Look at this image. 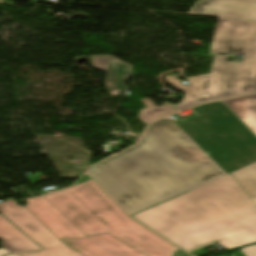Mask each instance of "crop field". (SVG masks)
Returning a JSON list of instances; mask_svg holds the SVG:
<instances>
[{
  "label": "crop field",
  "mask_w": 256,
  "mask_h": 256,
  "mask_svg": "<svg viewBox=\"0 0 256 256\" xmlns=\"http://www.w3.org/2000/svg\"><path fill=\"white\" fill-rule=\"evenodd\" d=\"M133 217L188 252L256 241V207L230 174Z\"/></svg>",
  "instance_id": "2"
},
{
  "label": "crop field",
  "mask_w": 256,
  "mask_h": 256,
  "mask_svg": "<svg viewBox=\"0 0 256 256\" xmlns=\"http://www.w3.org/2000/svg\"><path fill=\"white\" fill-rule=\"evenodd\" d=\"M6 253H10V252L5 250V249H3V248H0V255L6 254Z\"/></svg>",
  "instance_id": "15"
},
{
  "label": "crop field",
  "mask_w": 256,
  "mask_h": 256,
  "mask_svg": "<svg viewBox=\"0 0 256 256\" xmlns=\"http://www.w3.org/2000/svg\"><path fill=\"white\" fill-rule=\"evenodd\" d=\"M93 67L107 72L106 88L110 96H125L124 82L131 76L130 65L113 56H91Z\"/></svg>",
  "instance_id": "10"
},
{
  "label": "crop field",
  "mask_w": 256,
  "mask_h": 256,
  "mask_svg": "<svg viewBox=\"0 0 256 256\" xmlns=\"http://www.w3.org/2000/svg\"><path fill=\"white\" fill-rule=\"evenodd\" d=\"M89 174L130 215L225 175L168 118L149 125L138 145Z\"/></svg>",
  "instance_id": "1"
},
{
  "label": "crop field",
  "mask_w": 256,
  "mask_h": 256,
  "mask_svg": "<svg viewBox=\"0 0 256 256\" xmlns=\"http://www.w3.org/2000/svg\"><path fill=\"white\" fill-rule=\"evenodd\" d=\"M200 116L176 123L256 205V135L222 102L193 108Z\"/></svg>",
  "instance_id": "4"
},
{
  "label": "crop field",
  "mask_w": 256,
  "mask_h": 256,
  "mask_svg": "<svg viewBox=\"0 0 256 256\" xmlns=\"http://www.w3.org/2000/svg\"><path fill=\"white\" fill-rule=\"evenodd\" d=\"M228 57L216 56L209 75L188 78L191 85H183L174 75L164 77L174 88L186 92L183 100L176 105L179 110L189 108L217 98L225 61Z\"/></svg>",
  "instance_id": "8"
},
{
  "label": "crop field",
  "mask_w": 256,
  "mask_h": 256,
  "mask_svg": "<svg viewBox=\"0 0 256 256\" xmlns=\"http://www.w3.org/2000/svg\"><path fill=\"white\" fill-rule=\"evenodd\" d=\"M8 256H18V255H16V254H12V255H8Z\"/></svg>",
  "instance_id": "16"
},
{
  "label": "crop field",
  "mask_w": 256,
  "mask_h": 256,
  "mask_svg": "<svg viewBox=\"0 0 256 256\" xmlns=\"http://www.w3.org/2000/svg\"><path fill=\"white\" fill-rule=\"evenodd\" d=\"M191 13L232 19L256 20V2L202 0L197 3Z\"/></svg>",
  "instance_id": "9"
},
{
  "label": "crop field",
  "mask_w": 256,
  "mask_h": 256,
  "mask_svg": "<svg viewBox=\"0 0 256 256\" xmlns=\"http://www.w3.org/2000/svg\"><path fill=\"white\" fill-rule=\"evenodd\" d=\"M142 101L148 106L147 109L141 111L139 116V119H141L145 125L148 122L176 112V110H174V107L167 103L159 108H156L149 99H142Z\"/></svg>",
  "instance_id": "13"
},
{
  "label": "crop field",
  "mask_w": 256,
  "mask_h": 256,
  "mask_svg": "<svg viewBox=\"0 0 256 256\" xmlns=\"http://www.w3.org/2000/svg\"><path fill=\"white\" fill-rule=\"evenodd\" d=\"M248 1H256V0H248Z\"/></svg>",
  "instance_id": "17"
},
{
  "label": "crop field",
  "mask_w": 256,
  "mask_h": 256,
  "mask_svg": "<svg viewBox=\"0 0 256 256\" xmlns=\"http://www.w3.org/2000/svg\"><path fill=\"white\" fill-rule=\"evenodd\" d=\"M223 102L256 134V95Z\"/></svg>",
  "instance_id": "12"
},
{
  "label": "crop field",
  "mask_w": 256,
  "mask_h": 256,
  "mask_svg": "<svg viewBox=\"0 0 256 256\" xmlns=\"http://www.w3.org/2000/svg\"><path fill=\"white\" fill-rule=\"evenodd\" d=\"M25 200V207L61 241L87 256H145L107 233L87 237L43 196Z\"/></svg>",
  "instance_id": "6"
},
{
  "label": "crop field",
  "mask_w": 256,
  "mask_h": 256,
  "mask_svg": "<svg viewBox=\"0 0 256 256\" xmlns=\"http://www.w3.org/2000/svg\"><path fill=\"white\" fill-rule=\"evenodd\" d=\"M210 52L244 55L226 62L217 100L256 93V21L219 18Z\"/></svg>",
  "instance_id": "5"
},
{
  "label": "crop field",
  "mask_w": 256,
  "mask_h": 256,
  "mask_svg": "<svg viewBox=\"0 0 256 256\" xmlns=\"http://www.w3.org/2000/svg\"><path fill=\"white\" fill-rule=\"evenodd\" d=\"M0 240L2 247L11 252L38 251L40 247L35 245L17 228L0 215Z\"/></svg>",
  "instance_id": "11"
},
{
  "label": "crop field",
  "mask_w": 256,
  "mask_h": 256,
  "mask_svg": "<svg viewBox=\"0 0 256 256\" xmlns=\"http://www.w3.org/2000/svg\"><path fill=\"white\" fill-rule=\"evenodd\" d=\"M3 206V207H1ZM0 212L29 237L39 243L44 251L18 254L21 256H85L62 243L29 210L14 203V199L0 204ZM15 214V215H12ZM28 226V227H26Z\"/></svg>",
  "instance_id": "7"
},
{
  "label": "crop field",
  "mask_w": 256,
  "mask_h": 256,
  "mask_svg": "<svg viewBox=\"0 0 256 256\" xmlns=\"http://www.w3.org/2000/svg\"><path fill=\"white\" fill-rule=\"evenodd\" d=\"M232 256H256V245L242 248V251Z\"/></svg>",
  "instance_id": "14"
},
{
  "label": "crop field",
  "mask_w": 256,
  "mask_h": 256,
  "mask_svg": "<svg viewBox=\"0 0 256 256\" xmlns=\"http://www.w3.org/2000/svg\"><path fill=\"white\" fill-rule=\"evenodd\" d=\"M44 197L87 236L107 232L146 256H189L131 219L86 175Z\"/></svg>",
  "instance_id": "3"
}]
</instances>
